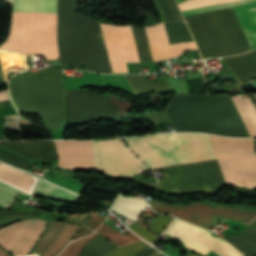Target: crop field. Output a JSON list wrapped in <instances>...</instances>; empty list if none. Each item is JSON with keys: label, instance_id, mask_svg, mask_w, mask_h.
<instances>
[{"label": "crop field", "instance_id": "obj_15", "mask_svg": "<svg viewBox=\"0 0 256 256\" xmlns=\"http://www.w3.org/2000/svg\"><path fill=\"white\" fill-rule=\"evenodd\" d=\"M0 180L31 194L36 178L0 162ZM0 181V205L9 208L16 193L28 194ZM28 194V195H30Z\"/></svg>", "mask_w": 256, "mask_h": 256}, {"label": "crop field", "instance_id": "obj_21", "mask_svg": "<svg viewBox=\"0 0 256 256\" xmlns=\"http://www.w3.org/2000/svg\"><path fill=\"white\" fill-rule=\"evenodd\" d=\"M251 48H256V5L234 9Z\"/></svg>", "mask_w": 256, "mask_h": 256}, {"label": "crop field", "instance_id": "obj_10", "mask_svg": "<svg viewBox=\"0 0 256 256\" xmlns=\"http://www.w3.org/2000/svg\"><path fill=\"white\" fill-rule=\"evenodd\" d=\"M66 123L109 120L126 116L103 95L88 91H65Z\"/></svg>", "mask_w": 256, "mask_h": 256}, {"label": "crop field", "instance_id": "obj_11", "mask_svg": "<svg viewBox=\"0 0 256 256\" xmlns=\"http://www.w3.org/2000/svg\"><path fill=\"white\" fill-rule=\"evenodd\" d=\"M153 210L175 215L176 217L204 227L211 228L216 215L249 224L256 218L255 213L233 207H216L209 204L196 202L186 207L164 205L153 199L148 201Z\"/></svg>", "mask_w": 256, "mask_h": 256}, {"label": "crop field", "instance_id": "obj_16", "mask_svg": "<svg viewBox=\"0 0 256 256\" xmlns=\"http://www.w3.org/2000/svg\"><path fill=\"white\" fill-rule=\"evenodd\" d=\"M97 232L102 234L103 236L109 238L110 240L120 244V245L139 240V238H137L132 233L124 236L118 230L115 231V230H113L112 228H110L109 226H107L106 224L103 223L102 226L94 234H92L88 237L82 238L80 240L71 242L66 247V249L61 253L60 256H78V254H79L80 250L83 248V246L90 239H92L94 236H96Z\"/></svg>", "mask_w": 256, "mask_h": 256}, {"label": "crop field", "instance_id": "obj_3", "mask_svg": "<svg viewBox=\"0 0 256 256\" xmlns=\"http://www.w3.org/2000/svg\"><path fill=\"white\" fill-rule=\"evenodd\" d=\"M176 132L196 131L249 137L231 97H175L166 110Z\"/></svg>", "mask_w": 256, "mask_h": 256}, {"label": "crop field", "instance_id": "obj_26", "mask_svg": "<svg viewBox=\"0 0 256 256\" xmlns=\"http://www.w3.org/2000/svg\"><path fill=\"white\" fill-rule=\"evenodd\" d=\"M33 193L53 197V198H58V199H63L67 201H73L75 202L78 198V196L63 190L61 188H58L54 185H51L49 183H46L42 180H39L37 185L34 188Z\"/></svg>", "mask_w": 256, "mask_h": 256}, {"label": "crop field", "instance_id": "obj_4", "mask_svg": "<svg viewBox=\"0 0 256 256\" xmlns=\"http://www.w3.org/2000/svg\"><path fill=\"white\" fill-rule=\"evenodd\" d=\"M18 113H36L54 132L64 126L63 80L58 71L22 73L10 80Z\"/></svg>", "mask_w": 256, "mask_h": 256}, {"label": "crop field", "instance_id": "obj_30", "mask_svg": "<svg viewBox=\"0 0 256 256\" xmlns=\"http://www.w3.org/2000/svg\"><path fill=\"white\" fill-rule=\"evenodd\" d=\"M0 160L4 161L6 163H9L11 165H14L18 168L25 169V170L27 169L28 164L30 162L27 159H24L22 157L11 154V153L6 152V151L1 150V149H0Z\"/></svg>", "mask_w": 256, "mask_h": 256}, {"label": "crop field", "instance_id": "obj_14", "mask_svg": "<svg viewBox=\"0 0 256 256\" xmlns=\"http://www.w3.org/2000/svg\"><path fill=\"white\" fill-rule=\"evenodd\" d=\"M46 222L40 220H31L29 223L20 221L0 229V246L11 252L28 223L11 252L12 254H27L43 232Z\"/></svg>", "mask_w": 256, "mask_h": 256}, {"label": "crop field", "instance_id": "obj_37", "mask_svg": "<svg viewBox=\"0 0 256 256\" xmlns=\"http://www.w3.org/2000/svg\"><path fill=\"white\" fill-rule=\"evenodd\" d=\"M156 251L157 250H155L153 247L148 245L144 249H142L140 252H138L136 256H150Z\"/></svg>", "mask_w": 256, "mask_h": 256}, {"label": "crop field", "instance_id": "obj_6", "mask_svg": "<svg viewBox=\"0 0 256 256\" xmlns=\"http://www.w3.org/2000/svg\"><path fill=\"white\" fill-rule=\"evenodd\" d=\"M56 28L57 14L13 12L10 36L0 48L58 59Z\"/></svg>", "mask_w": 256, "mask_h": 256}, {"label": "crop field", "instance_id": "obj_38", "mask_svg": "<svg viewBox=\"0 0 256 256\" xmlns=\"http://www.w3.org/2000/svg\"><path fill=\"white\" fill-rule=\"evenodd\" d=\"M13 215H36L33 213L15 212V211H0V216H13Z\"/></svg>", "mask_w": 256, "mask_h": 256}, {"label": "crop field", "instance_id": "obj_9", "mask_svg": "<svg viewBox=\"0 0 256 256\" xmlns=\"http://www.w3.org/2000/svg\"><path fill=\"white\" fill-rule=\"evenodd\" d=\"M210 136V135H209ZM217 161L227 185L245 188H256V155H254L252 139H241L210 136Z\"/></svg>", "mask_w": 256, "mask_h": 256}, {"label": "crop field", "instance_id": "obj_43", "mask_svg": "<svg viewBox=\"0 0 256 256\" xmlns=\"http://www.w3.org/2000/svg\"><path fill=\"white\" fill-rule=\"evenodd\" d=\"M2 141H0V143H1Z\"/></svg>", "mask_w": 256, "mask_h": 256}, {"label": "crop field", "instance_id": "obj_28", "mask_svg": "<svg viewBox=\"0 0 256 256\" xmlns=\"http://www.w3.org/2000/svg\"><path fill=\"white\" fill-rule=\"evenodd\" d=\"M131 27H132L135 42L137 45V49L139 52L140 60L141 61H153L151 52H150V48H149V44H148V40H147V36H146V32H145V28L144 27L137 28L134 26H131Z\"/></svg>", "mask_w": 256, "mask_h": 256}, {"label": "crop field", "instance_id": "obj_8", "mask_svg": "<svg viewBox=\"0 0 256 256\" xmlns=\"http://www.w3.org/2000/svg\"><path fill=\"white\" fill-rule=\"evenodd\" d=\"M58 152V166L66 169H95L94 153L90 141H54ZM53 141L11 142L6 141L0 146L5 147L31 160L57 159Z\"/></svg>", "mask_w": 256, "mask_h": 256}, {"label": "crop field", "instance_id": "obj_5", "mask_svg": "<svg viewBox=\"0 0 256 256\" xmlns=\"http://www.w3.org/2000/svg\"><path fill=\"white\" fill-rule=\"evenodd\" d=\"M184 18L204 58L251 49L232 8Z\"/></svg>", "mask_w": 256, "mask_h": 256}, {"label": "crop field", "instance_id": "obj_22", "mask_svg": "<svg viewBox=\"0 0 256 256\" xmlns=\"http://www.w3.org/2000/svg\"><path fill=\"white\" fill-rule=\"evenodd\" d=\"M126 77L136 97L153 90L171 88L165 79L155 83H150L144 75H126Z\"/></svg>", "mask_w": 256, "mask_h": 256}, {"label": "crop field", "instance_id": "obj_18", "mask_svg": "<svg viewBox=\"0 0 256 256\" xmlns=\"http://www.w3.org/2000/svg\"><path fill=\"white\" fill-rule=\"evenodd\" d=\"M153 60L171 58V51L163 23L155 26L145 27Z\"/></svg>", "mask_w": 256, "mask_h": 256}, {"label": "crop field", "instance_id": "obj_17", "mask_svg": "<svg viewBox=\"0 0 256 256\" xmlns=\"http://www.w3.org/2000/svg\"><path fill=\"white\" fill-rule=\"evenodd\" d=\"M225 1H230V0H187V1L179 4L178 6H179L180 10H183V9L199 7V6H204V5H209V4L219 3V2H225ZM251 3H256V0H235V1H230V2H225V3H220V4H214V5H209V6H204V7L194 8V9L183 10L181 12H182L183 16H186V15L203 13V12L219 10V9H224V8H230V7L251 4Z\"/></svg>", "mask_w": 256, "mask_h": 256}, {"label": "crop field", "instance_id": "obj_41", "mask_svg": "<svg viewBox=\"0 0 256 256\" xmlns=\"http://www.w3.org/2000/svg\"><path fill=\"white\" fill-rule=\"evenodd\" d=\"M4 1H6L10 5H12V3H13V0H4Z\"/></svg>", "mask_w": 256, "mask_h": 256}, {"label": "crop field", "instance_id": "obj_7", "mask_svg": "<svg viewBox=\"0 0 256 256\" xmlns=\"http://www.w3.org/2000/svg\"><path fill=\"white\" fill-rule=\"evenodd\" d=\"M166 233L204 255L212 250L220 256H256V220L240 235H226L223 238L245 255L225 240L212 237L211 232L180 219H175Z\"/></svg>", "mask_w": 256, "mask_h": 256}, {"label": "crop field", "instance_id": "obj_35", "mask_svg": "<svg viewBox=\"0 0 256 256\" xmlns=\"http://www.w3.org/2000/svg\"><path fill=\"white\" fill-rule=\"evenodd\" d=\"M105 218L106 217L92 215L87 226L93 230H96Z\"/></svg>", "mask_w": 256, "mask_h": 256}, {"label": "crop field", "instance_id": "obj_29", "mask_svg": "<svg viewBox=\"0 0 256 256\" xmlns=\"http://www.w3.org/2000/svg\"><path fill=\"white\" fill-rule=\"evenodd\" d=\"M167 21H184L174 0H158Z\"/></svg>", "mask_w": 256, "mask_h": 256}, {"label": "crop field", "instance_id": "obj_27", "mask_svg": "<svg viewBox=\"0 0 256 256\" xmlns=\"http://www.w3.org/2000/svg\"><path fill=\"white\" fill-rule=\"evenodd\" d=\"M164 24L170 44L193 41L185 23L172 22Z\"/></svg>", "mask_w": 256, "mask_h": 256}, {"label": "crop field", "instance_id": "obj_1", "mask_svg": "<svg viewBox=\"0 0 256 256\" xmlns=\"http://www.w3.org/2000/svg\"><path fill=\"white\" fill-rule=\"evenodd\" d=\"M150 168L216 159L208 135L195 133L153 134L124 138ZM165 178L156 189L218 193L225 186L216 160L161 168Z\"/></svg>", "mask_w": 256, "mask_h": 256}, {"label": "crop field", "instance_id": "obj_31", "mask_svg": "<svg viewBox=\"0 0 256 256\" xmlns=\"http://www.w3.org/2000/svg\"><path fill=\"white\" fill-rule=\"evenodd\" d=\"M146 245L148 244L142 241L136 242L131 245L120 247L110 253L108 256H135L136 253L144 248Z\"/></svg>", "mask_w": 256, "mask_h": 256}, {"label": "crop field", "instance_id": "obj_40", "mask_svg": "<svg viewBox=\"0 0 256 256\" xmlns=\"http://www.w3.org/2000/svg\"><path fill=\"white\" fill-rule=\"evenodd\" d=\"M253 142H254V150H255V153H256V139H253Z\"/></svg>", "mask_w": 256, "mask_h": 256}, {"label": "crop field", "instance_id": "obj_13", "mask_svg": "<svg viewBox=\"0 0 256 256\" xmlns=\"http://www.w3.org/2000/svg\"><path fill=\"white\" fill-rule=\"evenodd\" d=\"M100 25L113 73L128 72L126 62H140L131 27Z\"/></svg>", "mask_w": 256, "mask_h": 256}, {"label": "crop field", "instance_id": "obj_24", "mask_svg": "<svg viewBox=\"0 0 256 256\" xmlns=\"http://www.w3.org/2000/svg\"><path fill=\"white\" fill-rule=\"evenodd\" d=\"M117 247L114 242L97 235L84 246L79 256H105Z\"/></svg>", "mask_w": 256, "mask_h": 256}, {"label": "crop field", "instance_id": "obj_39", "mask_svg": "<svg viewBox=\"0 0 256 256\" xmlns=\"http://www.w3.org/2000/svg\"><path fill=\"white\" fill-rule=\"evenodd\" d=\"M93 233V231H91L90 229L86 228L83 226V228L80 230V232L74 237L73 240L80 238L82 236H85L87 234Z\"/></svg>", "mask_w": 256, "mask_h": 256}, {"label": "crop field", "instance_id": "obj_34", "mask_svg": "<svg viewBox=\"0 0 256 256\" xmlns=\"http://www.w3.org/2000/svg\"><path fill=\"white\" fill-rule=\"evenodd\" d=\"M174 57H178L188 49H197L194 42L170 45Z\"/></svg>", "mask_w": 256, "mask_h": 256}, {"label": "crop field", "instance_id": "obj_2", "mask_svg": "<svg viewBox=\"0 0 256 256\" xmlns=\"http://www.w3.org/2000/svg\"><path fill=\"white\" fill-rule=\"evenodd\" d=\"M79 0H58V45L62 64L112 73L99 23L75 13Z\"/></svg>", "mask_w": 256, "mask_h": 256}, {"label": "crop field", "instance_id": "obj_32", "mask_svg": "<svg viewBox=\"0 0 256 256\" xmlns=\"http://www.w3.org/2000/svg\"><path fill=\"white\" fill-rule=\"evenodd\" d=\"M171 217L159 215L151 227V231L159 236L162 230L169 224Z\"/></svg>", "mask_w": 256, "mask_h": 256}, {"label": "crop field", "instance_id": "obj_42", "mask_svg": "<svg viewBox=\"0 0 256 256\" xmlns=\"http://www.w3.org/2000/svg\"><path fill=\"white\" fill-rule=\"evenodd\" d=\"M177 1V3H179V2H181V1H183V0H176Z\"/></svg>", "mask_w": 256, "mask_h": 256}, {"label": "crop field", "instance_id": "obj_20", "mask_svg": "<svg viewBox=\"0 0 256 256\" xmlns=\"http://www.w3.org/2000/svg\"><path fill=\"white\" fill-rule=\"evenodd\" d=\"M242 81L256 77V50L225 58Z\"/></svg>", "mask_w": 256, "mask_h": 256}, {"label": "crop field", "instance_id": "obj_19", "mask_svg": "<svg viewBox=\"0 0 256 256\" xmlns=\"http://www.w3.org/2000/svg\"><path fill=\"white\" fill-rule=\"evenodd\" d=\"M147 206L148 204L144 199L118 194L109 210L135 221Z\"/></svg>", "mask_w": 256, "mask_h": 256}, {"label": "crop field", "instance_id": "obj_36", "mask_svg": "<svg viewBox=\"0 0 256 256\" xmlns=\"http://www.w3.org/2000/svg\"><path fill=\"white\" fill-rule=\"evenodd\" d=\"M28 218H42V217H37V216H17V217H6V218H0V226L8 223L13 220H21V219H28Z\"/></svg>", "mask_w": 256, "mask_h": 256}, {"label": "crop field", "instance_id": "obj_23", "mask_svg": "<svg viewBox=\"0 0 256 256\" xmlns=\"http://www.w3.org/2000/svg\"><path fill=\"white\" fill-rule=\"evenodd\" d=\"M232 99L240 115L242 116L251 136H256V125L254 123L256 122V110L250 98L242 99L241 96H238V97H232Z\"/></svg>", "mask_w": 256, "mask_h": 256}, {"label": "crop field", "instance_id": "obj_12", "mask_svg": "<svg viewBox=\"0 0 256 256\" xmlns=\"http://www.w3.org/2000/svg\"><path fill=\"white\" fill-rule=\"evenodd\" d=\"M92 142L98 170L119 177H130L148 169L131 153L122 139Z\"/></svg>", "mask_w": 256, "mask_h": 256}, {"label": "crop field", "instance_id": "obj_33", "mask_svg": "<svg viewBox=\"0 0 256 256\" xmlns=\"http://www.w3.org/2000/svg\"><path fill=\"white\" fill-rule=\"evenodd\" d=\"M130 229H132L136 234L140 235L141 237L145 238L147 241L153 243L157 237L149 233L147 230H145L143 227H141L136 222L128 226Z\"/></svg>", "mask_w": 256, "mask_h": 256}, {"label": "crop field", "instance_id": "obj_25", "mask_svg": "<svg viewBox=\"0 0 256 256\" xmlns=\"http://www.w3.org/2000/svg\"><path fill=\"white\" fill-rule=\"evenodd\" d=\"M13 11L57 12V0H15Z\"/></svg>", "mask_w": 256, "mask_h": 256}]
</instances>
